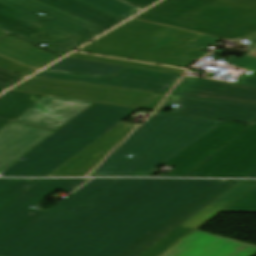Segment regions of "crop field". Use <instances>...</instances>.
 <instances>
[{"instance_id": "8a807250", "label": "crop field", "mask_w": 256, "mask_h": 256, "mask_svg": "<svg viewBox=\"0 0 256 256\" xmlns=\"http://www.w3.org/2000/svg\"><path fill=\"white\" fill-rule=\"evenodd\" d=\"M217 182L93 179L0 243V256H115Z\"/></svg>"}, {"instance_id": "ac0d7876", "label": "crop field", "mask_w": 256, "mask_h": 256, "mask_svg": "<svg viewBox=\"0 0 256 256\" xmlns=\"http://www.w3.org/2000/svg\"><path fill=\"white\" fill-rule=\"evenodd\" d=\"M222 123L217 120L156 113L136 129L90 176H147ZM129 154L134 157H127Z\"/></svg>"}, {"instance_id": "34b2d1b8", "label": "crop field", "mask_w": 256, "mask_h": 256, "mask_svg": "<svg viewBox=\"0 0 256 256\" xmlns=\"http://www.w3.org/2000/svg\"><path fill=\"white\" fill-rule=\"evenodd\" d=\"M201 36L132 19L78 51L187 68L207 54L186 47Z\"/></svg>"}, {"instance_id": "412701ff", "label": "crop field", "mask_w": 256, "mask_h": 256, "mask_svg": "<svg viewBox=\"0 0 256 256\" xmlns=\"http://www.w3.org/2000/svg\"><path fill=\"white\" fill-rule=\"evenodd\" d=\"M134 18L205 34L188 46L199 51L220 38L256 37L255 12L210 0H164Z\"/></svg>"}, {"instance_id": "f4fd0767", "label": "crop field", "mask_w": 256, "mask_h": 256, "mask_svg": "<svg viewBox=\"0 0 256 256\" xmlns=\"http://www.w3.org/2000/svg\"><path fill=\"white\" fill-rule=\"evenodd\" d=\"M136 111L96 104L22 156L25 161L16 162L0 176L47 177Z\"/></svg>"}, {"instance_id": "dd49c442", "label": "crop field", "mask_w": 256, "mask_h": 256, "mask_svg": "<svg viewBox=\"0 0 256 256\" xmlns=\"http://www.w3.org/2000/svg\"><path fill=\"white\" fill-rule=\"evenodd\" d=\"M256 186L241 181L138 256H253L256 246L197 230Z\"/></svg>"}, {"instance_id": "e52e79f7", "label": "crop field", "mask_w": 256, "mask_h": 256, "mask_svg": "<svg viewBox=\"0 0 256 256\" xmlns=\"http://www.w3.org/2000/svg\"><path fill=\"white\" fill-rule=\"evenodd\" d=\"M13 90L155 110L165 95L31 77Z\"/></svg>"}, {"instance_id": "d8731c3e", "label": "crop field", "mask_w": 256, "mask_h": 256, "mask_svg": "<svg viewBox=\"0 0 256 256\" xmlns=\"http://www.w3.org/2000/svg\"><path fill=\"white\" fill-rule=\"evenodd\" d=\"M0 29L60 55L86 41L3 4Z\"/></svg>"}, {"instance_id": "5a996713", "label": "crop field", "mask_w": 256, "mask_h": 256, "mask_svg": "<svg viewBox=\"0 0 256 256\" xmlns=\"http://www.w3.org/2000/svg\"><path fill=\"white\" fill-rule=\"evenodd\" d=\"M89 179H43L22 196L0 210V242L36 219L45 211L37 209L41 200L60 189L72 192ZM36 207L35 209L30 208Z\"/></svg>"}, {"instance_id": "3316defc", "label": "crop field", "mask_w": 256, "mask_h": 256, "mask_svg": "<svg viewBox=\"0 0 256 256\" xmlns=\"http://www.w3.org/2000/svg\"><path fill=\"white\" fill-rule=\"evenodd\" d=\"M256 170V126H252L187 177L244 178Z\"/></svg>"}, {"instance_id": "28ad6ade", "label": "crop field", "mask_w": 256, "mask_h": 256, "mask_svg": "<svg viewBox=\"0 0 256 256\" xmlns=\"http://www.w3.org/2000/svg\"><path fill=\"white\" fill-rule=\"evenodd\" d=\"M35 77L168 93L179 76L126 67L111 77L44 70ZM172 89V88H171Z\"/></svg>"}, {"instance_id": "d1516ede", "label": "crop field", "mask_w": 256, "mask_h": 256, "mask_svg": "<svg viewBox=\"0 0 256 256\" xmlns=\"http://www.w3.org/2000/svg\"><path fill=\"white\" fill-rule=\"evenodd\" d=\"M179 105L172 113L251 124L256 120V105L172 95L159 108Z\"/></svg>"}, {"instance_id": "22f410ed", "label": "crop field", "mask_w": 256, "mask_h": 256, "mask_svg": "<svg viewBox=\"0 0 256 256\" xmlns=\"http://www.w3.org/2000/svg\"><path fill=\"white\" fill-rule=\"evenodd\" d=\"M137 125L122 122L75 155L48 177L84 176L104 159Z\"/></svg>"}, {"instance_id": "cbeb9de0", "label": "crop field", "mask_w": 256, "mask_h": 256, "mask_svg": "<svg viewBox=\"0 0 256 256\" xmlns=\"http://www.w3.org/2000/svg\"><path fill=\"white\" fill-rule=\"evenodd\" d=\"M247 127L225 122L167 162L166 165L177 167L168 176L183 177Z\"/></svg>"}, {"instance_id": "5142ce71", "label": "crop field", "mask_w": 256, "mask_h": 256, "mask_svg": "<svg viewBox=\"0 0 256 256\" xmlns=\"http://www.w3.org/2000/svg\"><path fill=\"white\" fill-rule=\"evenodd\" d=\"M240 181L222 180L116 256H136Z\"/></svg>"}, {"instance_id": "d9b57169", "label": "crop field", "mask_w": 256, "mask_h": 256, "mask_svg": "<svg viewBox=\"0 0 256 256\" xmlns=\"http://www.w3.org/2000/svg\"><path fill=\"white\" fill-rule=\"evenodd\" d=\"M0 3L14 7L39 20L86 40L105 30L38 0H0ZM39 13L45 16L42 17L38 15Z\"/></svg>"}, {"instance_id": "733c2abd", "label": "crop field", "mask_w": 256, "mask_h": 256, "mask_svg": "<svg viewBox=\"0 0 256 256\" xmlns=\"http://www.w3.org/2000/svg\"><path fill=\"white\" fill-rule=\"evenodd\" d=\"M92 103L46 96L15 121L57 130Z\"/></svg>"}, {"instance_id": "4a817a6b", "label": "crop field", "mask_w": 256, "mask_h": 256, "mask_svg": "<svg viewBox=\"0 0 256 256\" xmlns=\"http://www.w3.org/2000/svg\"><path fill=\"white\" fill-rule=\"evenodd\" d=\"M173 94L256 104V87L183 77Z\"/></svg>"}, {"instance_id": "bc2a9ffb", "label": "crop field", "mask_w": 256, "mask_h": 256, "mask_svg": "<svg viewBox=\"0 0 256 256\" xmlns=\"http://www.w3.org/2000/svg\"><path fill=\"white\" fill-rule=\"evenodd\" d=\"M53 131L13 122L0 132V172Z\"/></svg>"}, {"instance_id": "214f88e0", "label": "crop field", "mask_w": 256, "mask_h": 256, "mask_svg": "<svg viewBox=\"0 0 256 256\" xmlns=\"http://www.w3.org/2000/svg\"><path fill=\"white\" fill-rule=\"evenodd\" d=\"M0 56L37 71L60 58L11 35L0 40Z\"/></svg>"}, {"instance_id": "92a150f3", "label": "crop field", "mask_w": 256, "mask_h": 256, "mask_svg": "<svg viewBox=\"0 0 256 256\" xmlns=\"http://www.w3.org/2000/svg\"><path fill=\"white\" fill-rule=\"evenodd\" d=\"M105 29H108L122 20L97 10L77 0H40Z\"/></svg>"}, {"instance_id": "dafd665d", "label": "crop field", "mask_w": 256, "mask_h": 256, "mask_svg": "<svg viewBox=\"0 0 256 256\" xmlns=\"http://www.w3.org/2000/svg\"><path fill=\"white\" fill-rule=\"evenodd\" d=\"M43 97L45 96L9 90L0 97V118L14 121Z\"/></svg>"}, {"instance_id": "00972430", "label": "crop field", "mask_w": 256, "mask_h": 256, "mask_svg": "<svg viewBox=\"0 0 256 256\" xmlns=\"http://www.w3.org/2000/svg\"><path fill=\"white\" fill-rule=\"evenodd\" d=\"M122 68L124 67L66 57L47 69L110 76Z\"/></svg>"}, {"instance_id": "a9b5d70f", "label": "crop field", "mask_w": 256, "mask_h": 256, "mask_svg": "<svg viewBox=\"0 0 256 256\" xmlns=\"http://www.w3.org/2000/svg\"><path fill=\"white\" fill-rule=\"evenodd\" d=\"M42 179H0V209Z\"/></svg>"}, {"instance_id": "4177f3b9", "label": "crop field", "mask_w": 256, "mask_h": 256, "mask_svg": "<svg viewBox=\"0 0 256 256\" xmlns=\"http://www.w3.org/2000/svg\"><path fill=\"white\" fill-rule=\"evenodd\" d=\"M106 13L116 16L122 20L135 14L136 10L118 0H79Z\"/></svg>"}, {"instance_id": "730fd06b", "label": "crop field", "mask_w": 256, "mask_h": 256, "mask_svg": "<svg viewBox=\"0 0 256 256\" xmlns=\"http://www.w3.org/2000/svg\"><path fill=\"white\" fill-rule=\"evenodd\" d=\"M69 56L76 57V58H82V59H88V60H94V61H100V62H106V63H112V64H118V65H124V66H130V67L163 71V72H173V73L183 74L185 71L183 69L143 64V63L130 62V61H123V60L110 59V58H103V57L90 56V55H83V54H77V53H73Z\"/></svg>"}, {"instance_id": "eef30255", "label": "crop field", "mask_w": 256, "mask_h": 256, "mask_svg": "<svg viewBox=\"0 0 256 256\" xmlns=\"http://www.w3.org/2000/svg\"><path fill=\"white\" fill-rule=\"evenodd\" d=\"M223 212L256 213V187Z\"/></svg>"}, {"instance_id": "ae1a2a85", "label": "crop field", "mask_w": 256, "mask_h": 256, "mask_svg": "<svg viewBox=\"0 0 256 256\" xmlns=\"http://www.w3.org/2000/svg\"><path fill=\"white\" fill-rule=\"evenodd\" d=\"M252 44L249 45V48H253L251 51H253L256 48V39L251 42ZM250 51V52H251ZM250 52L245 54L241 59L235 58L233 56L227 58L225 61L237 65L241 68L244 69H251V70H256V58L247 56Z\"/></svg>"}, {"instance_id": "d3111659", "label": "crop field", "mask_w": 256, "mask_h": 256, "mask_svg": "<svg viewBox=\"0 0 256 256\" xmlns=\"http://www.w3.org/2000/svg\"><path fill=\"white\" fill-rule=\"evenodd\" d=\"M25 78L26 77L21 76L17 73L0 68V87L1 88L7 89Z\"/></svg>"}, {"instance_id": "750c4746", "label": "crop field", "mask_w": 256, "mask_h": 256, "mask_svg": "<svg viewBox=\"0 0 256 256\" xmlns=\"http://www.w3.org/2000/svg\"><path fill=\"white\" fill-rule=\"evenodd\" d=\"M0 67H3L5 69L17 72L19 74H22L26 77L36 73L37 71L32 70L30 68H27L25 66H22L20 64H17L15 62H12L10 60H7L5 58L0 57Z\"/></svg>"}, {"instance_id": "bd1437ed", "label": "crop field", "mask_w": 256, "mask_h": 256, "mask_svg": "<svg viewBox=\"0 0 256 256\" xmlns=\"http://www.w3.org/2000/svg\"><path fill=\"white\" fill-rule=\"evenodd\" d=\"M236 83L256 86V71L247 70V72Z\"/></svg>"}, {"instance_id": "1d83c4d3", "label": "crop field", "mask_w": 256, "mask_h": 256, "mask_svg": "<svg viewBox=\"0 0 256 256\" xmlns=\"http://www.w3.org/2000/svg\"><path fill=\"white\" fill-rule=\"evenodd\" d=\"M125 1L130 2V3L134 4V5L142 8V7L152 3L155 0H125Z\"/></svg>"}, {"instance_id": "120bbe31", "label": "crop field", "mask_w": 256, "mask_h": 256, "mask_svg": "<svg viewBox=\"0 0 256 256\" xmlns=\"http://www.w3.org/2000/svg\"><path fill=\"white\" fill-rule=\"evenodd\" d=\"M11 121L0 119V131L3 130L6 126H8Z\"/></svg>"}, {"instance_id": "d32e631a", "label": "crop field", "mask_w": 256, "mask_h": 256, "mask_svg": "<svg viewBox=\"0 0 256 256\" xmlns=\"http://www.w3.org/2000/svg\"><path fill=\"white\" fill-rule=\"evenodd\" d=\"M7 34H8V33H6V32H4V31H1V30H0V38L3 37V36H5V35H7Z\"/></svg>"}, {"instance_id": "5866460e", "label": "crop field", "mask_w": 256, "mask_h": 256, "mask_svg": "<svg viewBox=\"0 0 256 256\" xmlns=\"http://www.w3.org/2000/svg\"><path fill=\"white\" fill-rule=\"evenodd\" d=\"M247 177H256V171H254L253 173H251V174L248 175Z\"/></svg>"}, {"instance_id": "028f5c9d", "label": "crop field", "mask_w": 256, "mask_h": 256, "mask_svg": "<svg viewBox=\"0 0 256 256\" xmlns=\"http://www.w3.org/2000/svg\"><path fill=\"white\" fill-rule=\"evenodd\" d=\"M3 91H4V89H1V88H0V93H2Z\"/></svg>"}, {"instance_id": "e1f06a70", "label": "crop field", "mask_w": 256, "mask_h": 256, "mask_svg": "<svg viewBox=\"0 0 256 256\" xmlns=\"http://www.w3.org/2000/svg\"><path fill=\"white\" fill-rule=\"evenodd\" d=\"M254 125H256V124H254Z\"/></svg>"}]
</instances>
